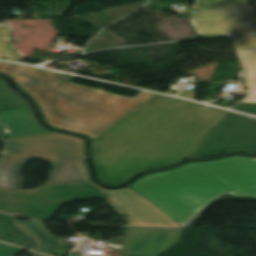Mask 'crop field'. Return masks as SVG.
<instances>
[{
  "label": "crop field",
  "mask_w": 256,
  "mask_h": 256,
  "mask_svg": "<svg viewBox=\"0 0 256 256\" xmlns=\"http://www.w3.org/2000/svg\"><path fill=\"white\" fill-rule=\"evenodd\" d=\"M227 112L152 95L91 142L100 179L118 184L138 171L183 159Z\"/></svg>",
  "instance_id": "obj_1"
},
{
  "label": "crop field",
  "mask_w": 256,
  "mask_h": 256,
  "mask_svg": "<svg viewBox=\"0 0 256 256\" xmlns=\"http://www.w3.org/2000/svg\"><path fill=\"white\" fill-rule=\"evenodd\" d=\"M0 73L22 82V90L34 99L49 125L91 139L152 95L142 91L134 98L121 97L72 83L73 76L5 63H0Z\"/></svg>",
  "instance_id": "obj_2"
},
{
  "label": "crop field",
  "mask_w": 256,
  "mask_h": 256,
  "mask_svg": "<svg viewBox=\"0 0 256 256\" xmlns=\"http://www.w3.org/2000/svg\"><path fill=\"white\" fill-rule=\"evenodd\" d=\"M129 187L183 227L221 193L256 196V159L189 163Z\"/></svg>",
  "instance_id": "obj_3"
},
{
  "label": "crop field",
  "mask_w": 256,
  "mask_h": 256,
  "mask_svg": "<svg viewBox=\"0 0 256 256\" xmlns=\"http://www.w3.org/2000/svg\"><path fill=\"white\" fill-rule=\"evenodd\" d=\"M31 158L53 164L46 184L93 183L84 162L83 139L52 132L5 140L0 156V190H23L22 172Z\"/></svg>",
  "instance_id": "obj_4"
},
{
  "label": "crop field",
  "mask_w": 256,
  "mask_h": 256,
  "mask_svg": "<svg viewBox=\"0 0 256 256\" xmlns=\"http://www.w3.org/2000/svg\"><path fill=\"white\" fill-rule=\"evenodd\" d=\"M80 198L106 197L95 184L53 185L32 191H0V211L47 221L61 203Z\"/></svg>",
  "instance_id": "obj_5"
},
{
  "label": "crop field",
  "mask_w": 256,
  "mask_h": 256,
  "mask_svg": "<svg viewBox=\"0 0 256 256\" xmlns=\"http://www.w3.org/2000/svg\"><path fill=\"white\" fill-rule=\"evenodd\" d=\"M184 12H191V23L204 37L256 32V12L249 0H197Z\"/></svg>",
  "instance_id": "obj_6"
},
{
  "label": "crop field",
  "mask_w": 256,
  "mask_h": 256,
  "mask_svg": "<svg viewBox=\"0 0 256 256\" xmlns=\"http://www.w3.org/2000/svg\"><path fill=\"white\" fill-rule=\"evenodd\" d=\"M224 152L256 153V118L228 112L186 158Z\"/></svg>",
  "instance_id": "obj_7"
},
{
  "label": "crop field",
  "mask_w": 256,
  "mask_h": 256,
  "mask_svg": "<svg viewBox=\"0 0 256 256\" xmlns=\"http://www.w3.org/2000/svg\"><path fill=\"white\" fill-rule=\"evenodd\" d=\"M102 190L107 196V201L119 215L128 214L127 226L180 227L129 187L120 190L104 188Z\"/></svg>",
  "instance_id": "obj_8"
},
{
  "label": "crop field",
  "mask_w": 256,
  "mask_h": 256,
  "mask_svg": "<svg viewBox=\"0 0 256 256\" xmlns=\"http://www.w3.org/2000/svg\"><path fill=\"white\" fill-rule=\"evenodd\" d=\"M0 128L9 138L50 133L31 117L28 106L0 79Z\"/></svg>",
  "instance_id": "obj_9"
},
{
  "label": "crop field",
  "mask_w": 256,
  "mask_h": 256,
  "mask_svg": "<svg viewBox=\"0 0 256 256\" xmlns=\"http://www.w3.org/2000/svg\"><path fill=\"white\" fill-rule=\"evenodd\" d=\"M183 229L129 228L126 256H160L179 243Z\"/></svg>",
  "instance_id": "obj_10"
},
{
  "label": "crop field",
  "mask_w": 256,
  "mask_h": 256,
  "mask_svg": "<svg viewBox=\"0 0 256 256\" xmlns=\"http://www.w3.org/2000/svg\"><path fill=\"white\" fill-rule=\"evenodd\" d=\"M17 223L40 240L38 251L52 256H66L69 253L63 251L65 240L56 239L41 222L17 220Z\"/></svg>",
  "instance_id": "obj_11"
},
{
  "label": "crop field",
  "mask_w": 256,
  "mask_h": 256,
  "mask_svg": "<svg viewBox=\"0 0 256 256\" xmlns=\"http://www.w3.org/2000/svg\"><path fill=\"white\" fill-rule=\"evenodd\" d=\"M0 241L36 251L38 241L18 226L14 217L0 213Z\"/></svg>",
  "instance_id": "obj_12"
},
{
  "label": "crop field",
  "mask_w": 256,
  "mask_h": 256,
  "mask_svg": "<svg viewBox=\"0 0 256 256\" xmlns=\"http://www.w3.org/2000/svg\"><path fill=\"white\" fill-rule=\"evenodd\" d=\"M247 67L244 76L248 90H256V49L237 51Z\"/></svg>",
  "instance_id": "obj_13"
},
{
  "label": "crop field",
  "mask_w": 256,
  "mask_h": 256,
  "mask_svg": "<svg viewBox=\"0 0 256 256\" xmlns=\"http://www.w3.org/2000/svg\"><path fill=\"white\" fill-rule=\"evenodd\" d=\"M9 27L0 23V59L19 61L20 55L16 52L9 36Z\"/></svg>",
  "instance_id": "obj_14"
},
{
  "label": "crop field",
  "mask_w": 256,
  "mask_h": 256,
  "mask_svg": "<svg viewBox=\"0 0 256 256\" xmlns=\"http://www.w3.org/2000/svg\"><path fill=\"white\" fill-rule=\"evenodd\" d=\"M236 50L256 48V35L230 37Z\"/></svg>",
  "instance_id": "obj_15"
},
{
  "label": "crop field",
  "mask_w": 256,
  "mask_h": 256,
  "mask_svg": "<svg viewBox=\"0 0 256 256\" xmlns=\"http://www.w3.org/2000/svg\"><path fill=\"white\" fill-rule=\"evenodd\" d=\"M232 110L256 115V103H235Z\"/></svg>",
  "instance_id": "obj_16"
},
{
  "label": "crop field",
  "mask_w": 256,
  "mask_h": 256,
  "mask_svg": "<svg viewBox=\"0 0 256 256\" xmlns=\"http://www.w3.org/2000/svg\"><path fill=\"white\" fill-rule=\"evenodd\" d=\"M19 253L20 251L16 247L0 243V256H13Z\"/></svg>",
  "instance_id": "obj_17"
},
{
  "label": "crop field",
  "mask_w": 256,
  "mask_h": 256,
  "mask_svg": "<svg viewBox=\"0 0 256 256\" xmlns=\"http://www.w3.org/2000/svg\"><path fill=\"white\" fill-rule=\"evenodd\" d=\"M195 94H196V91L191 90V91H181L178 95L194 99L195 98Z\"/></svg>",
  "instance_id": "obj_18"
},
{
  "label": "crop field",
  "mask_w": 256,
  "mask_h": 256,
  "mask_svg": "<svg viewBox=\"0 0 256 256\" xmlns=\"http://www.w3.org/2000/svg\"><path fill=\"white\" fill-rule=\"evenodd\" d=\"M249 92H251L250 96L247 99L243 100V101H245V102H256V91H249Z\"/></svg>",
  "instance_id": "obj_19"
},
{
  "label": "crop field",
  "mask_w": 256,
  "mask_h": 256,
  "mask_svg": "<svg viewBox=\"0 0 256 256\" xmlns=\"http://www.w3.org/2000/svg\"><path fill=\"white\" fill-rule=\"evenodd\" d=\"M30 253H31L32 256H45V255L34 253V252H31V251H30Z\"/></svg>",
  "instance_id": "obj_20"
},
{
  "label": "crop field",
  "mask_w": 256,
  "mask_h": 256,
  "mask_svg": "<svg viewBox=\"0 0 256 256\" xmlns=\"http://www.w3.org/2000/svg\"><path fill=\"white\" fill-rule=\"evenodd\" d=\"M254 4V6L256 7V0H251Z\"/></svg>",
  "instance_id": "obj_21"
},
{
  "label": "crop field",
  "mask_w": 256,
  "mask_h": 256,
  "mask_svg": "<svg viewBox=\"0 0 256 256\" xmlns=\"http://www.w3.org/2000/svg\"><path fill=\"white\" fill-rule=\"evenodd\" d=\"M15 80H16V79H15ZM15 80H14V81H15ZM16 82L20 85V82H19L18 80H16Z\"/></svg>",
  "instance_id": "obj_22"
}]
</instances>
